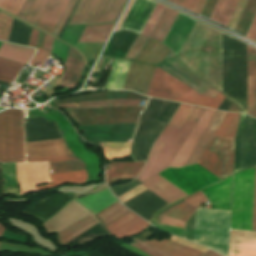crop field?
Segmentation results:
<instances>
[{"mask_svg":"<svg viewBox=\"0 0 256 256\" xmlns=\"http://www.w3.org/2000/svg\"><path fill=\"white\" fill-rule=\"evenodd\" d=\"M200 23L197 22L178 58L221 91V33Z\"/></svg>","mask_w":256,"mask_h":256,"instance_id":"obj_1","label":"crop field"},{"mask_svg":"<svg viewBox=\"0 0 256 256\" xmlns=\"http://www.w3.org/2000/svg\"><path fill=\"white\" fill-rule=\"evenodd\" d=\"M205 111V108L194 106L180 127L167 124L155 140L145 167L136 179L142 183L158 172L170 167Z\"/></svg>","mask_w":256,"mask_h":256,"instance_id":"obj_2","label":"crop field"},{"mask_svg":"<svg viewBox=\"0 0 256 256\" xmlns=\"http://www.w3.org/2000/svg\"><path fill=\"white\" fill-rule=\"evenodd\" d=\"M146 95L215 109L225 98L203 96L157 67Z\"/></svg>","mask_w":256,"mask_h":256,"instance_id":"obj_3","label":"crop field"},{"mask_svg":"<svg viewBox=\"0 0 256 256\" xmlns=\"http://www.w3.org/2000/svg\"><path fill=\"white\" fill-rule=\"evenodd\" d=\"M25 149L27 161L49 160L52 173L85 168V163L73 154L64 139L25 143Z\"/></svg>","mask_w":256,"mask_h":256,"instance_id":"obj_4","label":"crop field"},{"mask_svg":"<svg viewBox=\"0 0 256 256\" xmlns=\"http://www.w3.org/2000/svg\"><path fill=\"white\" fill-rule=\"evenodd\" d=\"M169 52L167 47L150 39L136 60L131 62L123 89L141 91L145 95L154 68Z\"/></svg>","mask_w":256,"mask_h":256,"instance_id":"obj_5","label":"crop field"},{"mask_svg":"<svg viewBox=\"0 0 256 256\" xmlns=\"http://www.w3.org/2000/svg\"><path fill=\"white\" fill-rule=\"evenodd\" d=\"M230 211L200 207L198 242L227 256Z\"/></svg>","mask_w":256,"mask_h":256,"instance_id":"obj_6","label":"crop field"},{"mask_svg":"<svg viewBox=\"0 0 256 256\" xmlns=\"http://www.w3.org/2000/svg\"><path fill=\"white\" fill-rule=\"evenodd\" d=\"M255 168L234 175L231 229L251 230Z\"/></svg>","mask_w":256,"mask_h":256,"instance_id":"obj_7","label":"crop field"},{"mask_svg":"<svg viewBox=\"0 0 256 256\" xmlns=\"http://www.w3.org/2000/svg\"><path fill=\"white\" fill-rule=\"evenodd\" d=\"M21 110L0 113V162L24 161Z\"/></svg>","mask_w":256,"mask_h":256,"instance_id":"obj_8","label":"crop field"},{"mask_svg":"<svg viewBox=\"0 0 256 256\" xmlns=\"http://www.w3.org/2000/svg\"><path fill=\"white\" fill-rule=\"evenodd\" d=\"M127 0H81L69 25L116 21Z\"/></svg>","mask_w":256,"mask_h":256,"instance_id":"obj_9","label":"crop field"},{"mask_svg":"<svg viewBox=\"0 0 256 256\" xmlns=\"http://www.w3.org/2000/svg\"><path fill=\"white\" fill-rule=\"evenodd\" d=\"M234 138L213 136L198 164L222 179L232 174Z\"/></svg>","mask_w":256,"mask_h":256,"instance_id":"obj_10","label":"crop field"},{"mask_svg":"<svg viewBox=\"0 0 256 256\" xmlns=\"http://www.w3.org/2000/svg\"><path fill=\"white\" fill-rule=\"evenodd\" d=\"M175 169L203 188L220 180L198 164ZM175 169L168 168L159 174L188 195L202 189Z\"/></svg>","mask_w":256,"mask_h":256,"instance_id":"obj_11","label":"crop field"},{"mask_svg":"<svg viewBox=\"0 0 256 256\" xmlns=\"http://www.w3.org/2000/svg\"><path fill=\"white\" fill-rule=\"evenodd\" d=\"M21 195L35 192V185L51 182L48 162L17 163Z\"/></svg>","mask_w":256,"mask_h":256,"instance_id":"obj_12","label":"crop field"},{"mask_svg":"<svg viewBox=\"0 0 256 256\" xmlns=\"http://www.w3.org/2000/svg\"><path fill=\"white\" fill-rule=\"evenodd\" d=\"M135 124L79 126L86 129L88 138L98 142H127L131 137Z\"/></svg>","mask_w":256,"mask_h":256,"instance_id":"obj_13","label":"crop field"},{"mask_svg":"<svg viewBox=\"0 0 256 256\" xmlns=\"http://www.w3.org/2000/svg\"><path fill=\"white\" fill-rule=\"evenodd\" d=\"M194 23L195 20L179 13L163 43L177 55Z\"/></svg>","mask_w":256,"mask_h":256,"instance_id":"obj_14","label":"crop field"},{"mask_svg":"<svg viewBox=\"0 0 256 256\" xmlns=\"http://www.w3.org/2000/svg\"><path fill=\"white\" fill-rule=\"evenodd\" d=\"M154 4H155V2H153L151 0H136L134 2L133 6L131 7L129 13L127 14L126 18L124 19L122 25L120 26L119 30L130 29L132 31L139 33L142 25L144 24L146 18L148 17L151 9L154 6Z\"/></svg>","mask_w":256,"mask_h":256,"instance_id":"obj_15","label":"crop field"},{"mask_svg":"<svg viewBox=\"0 0 256 256\" xmlns=\"http://www.w3.org/2000/svg\"><path fill=\"white\" fill-rule=\"evenodd\" d=\"M201 190L208 198L211 208L230 210L232 176Z\"/></svg>","mask_w":256,"mask_h":256,"instance_id":"obj_16","label":"crop field"},{"mask_svg":"<svg viewBox=\"0 0 256 256\" xmlns=\"http://www.w3.org/2000/svg\"><path fill=\"white\" fill-rule=\"evenodd\" d=\"M149 225L131 212L106 228L115 238H122L138 234Z\"/></svg>","mask_w":256,"mask_h":256,"instance_id":"obj_17","label":"crop field"},{"mask_svg":"<svg viewBox=\"0 0 256 256\" xmlns=\"http://www.w3.org/2000/svg\"><path fill=\"white\" fill-rule=\"evenodd\" d=\"M214 113H215L214 110L207 109V111L205 112V114L203 115V117L198 122V124L192 131L191 135L187 139L186 143L182 147L181 151L177 155L176 159L172 163L171 167L184 166L186 160L188 159L190 153L193 151L194 147L196 146L198 140L203 134L205 128L207 127Z\"/></svg>","mask_w":256,"mask_h":256,"instance_id":"obj_18","label":"crop field"},{"mask_svg":"<svg viewBox=\"0 0 256 256\" xmlns=\"http://www.w3.org/2000/svg\"><path fill=\"white\" fill-rule=\"evenodd\" d=\"M229 256H256V233L231 231Z\"/></svg>","mask_w":256,"mask_h":256,"instance_id":"obj_19","label":"crop field"},{"mask_svg":"<svg viewBox=\"0 0 256 256\" xmlns=\"http://www.w3.org/2000/svg\"><path fill=\"white\" fill-rule=\"evenodd\" d=\"M144 187L155 193L157 196L170 203L178 198L187 196L184 192L169 183L158 174L150 178L143 184Z\"/></svg>","mask_w":256,"mask_h":256,"instance_id":"obj_20","label":"crop field"},{"mask_svg":"<svg viewBox=\"0 0 256 256\" xmlns=\"http://www.w3.org/2000/svg\"><path fill=\"white\" fill-rule=\"evenodd\" d=\"M248 114L256 117V50L247 45Z\"/></svg>","mask_w":256,"mask_h":256,"instance_id":"obj_21","label":"crop field"},{"mask_svg":"<svg viewBox=\"0 0 256 256\" xmlns=\"http://www.w3.org/2000/svg\"><path fill=\"white\" fill-rule=\"evenodd\" d=\"M144 162L108 163L107 183L136 178Z\"/></svg>","mask_w":256,"mask_h":256,"instance_id":"obj_22","label":"crop field"},{"mask_svg":"<svg viewBox=\"0 0 256 256\" xmlns=\"http://www.w3.org/2000/svg\"><path fill=\"white\" fill-rule=\"evenodd\" d=\"M225 115H226L225 112L216 111L211 122L206 128L204 134L199 140L197 146L195 147L194 151L191 153L189 159L187 160L185 166L190 164H195L198 162L202 153L204 152L205 148L207 147L209 141L211 140L212 136L214 135L215 131L217 130L218 126L222 122Z\"/></svg>","mask_w":256,"mask_h":256,"instance_id":"obj_23","label":"crop field"},{"mask_svg":"<svg viewBox=\"0 0 256 256\" xmlns=\"http://www.w3.org/2000/svg\"><path fill=\"white\" fill-rule=\"evenodd\" d=\"M69 0H51L37 27L52 34Z\"/></svg>","mask_w":256,"mask_h":256,"instance_id":"obj_24","label":"crop field"},{"mask_svg":"<svg viewBox=\"0 0 256 256\" xmlns=\"http://www.w3.org/2000/svg\"><path fill=\"white\" fill-rule=\"evenodd\" d=\"M98 222L100 221L92 213L87 215L86 217L80 219L79 221L75 222L69 227L58 232L59 243L62 245L66 244L67 242L74 239L75 237H77L90 227L94 226Z\"/></svg>","mask_w":256,"mask_h":256,"instance_id":"obj_25","label":"crop field"},{"mask_svg":"<svg viewBox=\"0 0 256 256\" xmlns=\"http://www.w3.org/2000/svg\"><path fill=\"white\" fill-rule=\"evenodd\" d=\"M65 65L66 67L62 80L74 84L78 83L83 70V60L81 55L71 47L69 48L68 57Z\"/></svg>","mask_w":256,"mask_h":256,"instance_id":"obj_26","label":"crop field"},{"mask_svg":"<svg viewBox=\"0 0 256 256\" xmlns=\"http://www.w3.org/2000/svg\"><path fill=\"white\" fill-rule=\"evenodd\" d=\"M95 214L117 202L109 189L101 191L93 196L76 199Z\"/></svg>","mask_w":256,"mask_h":256,"instance_id":"obj_27","label":"crop field"},{"mask_svg":"<svg viewBox=\"0 0 256 256\" xmlns=\"http://www.w3.org/2000/svg\"><path fill=\"white\" fill-rule=\"evenodd\" d=\"M145 242L171 256H201L203 254V252L184 247L166 239L161 242L155 239Z\"/></svg>","mask_w":256,"mask_h":256,"instance_id":"obj_28","label":"crop field"},{"mask_svg":"<svg viewBox=\"0 0 256 256\" xmlns=\"http://www.w3.org/2000/svg\"><path fill=\"white\" fill-rule=\"evenodd\" d=\"M131 61L115 59L105 89L119 90L124 81Z\"/></svg>","mask_w":256,"mask_h":256,"instance_id":"obj_29","label":"crop field"},{"mask_svg":"<svg viewBox=\"0 0 256 256\" xmlns=\"http://www.w3.org/2000/svg\"><path fill=\"white\" fill-rule=\"evenodd\" d=\"M52 179V184L43 185L36 187V191L52 188L56 185L71 182V183H85L87 179V172L85 170L80 171H72V172H64V173H56L50 174Z\"/></svg>","mask_w":256,"mask_h":256,"instance_id":"obj_30","label":"crop field"},{"mask_svg":"<svg viewBox=\"0 0 256 256\" xmlns=\"http://www.w3.org/2000/svg\"><path fill=\"white\" fill-rule=\"evenodd\" d=\"M177 15H178V12L166 7L164 13L159 19L154 30L152 31L150 38L162 43L164 37L169 31Z\"/></svg>","mask_w":256,"mask_h":256,"instance_id":"obj_31","label":"crop field"},{"mask_svg":"<svg viewBox=\"0 0 256 256\" xmlns=\"http://www.w3.org/2000/svg\"><path fill=\"white\" fill-rule=\"evenodd\" d=\"M238 0H218L211 20L228 26Z\"/></svg>","mask_w":256,"mask_h":256,"instance_id":"obj_32","label":"crop field"},{"mask_svg":"<svg viewBox=\"0 0 256 256\" xmlns=\"http://www.w3.org/2000/svg\"><path fill=\"white\" fill-rule=\"evenodd\" d=\"M114 24L86 26L79 42H106Z\"/></svg>","mask_w":256,"mask_h":256,"instance_id":"obj_33","label":"crop field"},{"mask_svg":"<svg viewBox=\"0 0 256 256\" xmlns=\"http://www.w3.org/2000/svg\"><path fill=\"white\" fill-rule=\"evenodd\" d=\"M35 50L3 43L0 56L17 62L27 64Z\"/></svg>","mask_w":256,"mask_h":256,"instance_id":"obj_34","label":"crop field"},{"mask_svg":"<svg viewBox=\"0 0 256 256\" xmlns=\"http://www.w3.org/2000/svg\"><path fill=\"white\" fill-rule=\"evenodd\" d=\"M4 194H19L16 163H2Z\"/></svg>","mask_w":256,"mask_h":256,"instance_id":"obj_35","label":"crop field"},{"mask_svg":"<svg viewBox=\"0 0 256 256\" xmlns=\"http://www.w3.org/2000/svg\"><path fill=\"white\" fill-rule=\"evenodd\" d=\"M256 13V0H248L235 27L236 32L246 36Z\"/></svg>","mask_w":256,"mask_h":256,"instance_id":"obj_36","label":"crop field"},{"mask_svg":"<svg viewBox=\"0 0 256 256\" xmlns=\"http://www.w3.org/2000/svg\"><path fill=\"white\" fill-rule=\"evenodd\" d=\"M104 156L107 160L123 159L127 157L131 143H101Z\"/></svg>","mask_w":256,"mask_h":256,"instance_id":"obj_37","label":"crop field"},{"mask_svg":"<svg viewBox=\"0 0 256 256\" xmlns=\"http://www.w3.org/2000/svg\"><path fill=\"white\" fill-rule=\"evenodd\" d=\"M129 212L131 211L118 202L96 215L106 226Z\"/></svg>","mask_w":256,"mask_h":256,"instance_id":"obj_38","label":"crop field"},{"mask_svg":"<svg viewBox=\"0 0 256 256\" xmlns=\"http://www.w3.org/2000/svg\"><path fill=\"white\" fill-rule=\"evenodd\" d=\"M23 66L24 64L0 58V80L12 83Z\"/></svg>","mask_w":256,"mask_h":256,"instance_id":"obj_39","label":"crop field"},{"mask_svg":"<svg viewBox=\"0 0 256 256\" xmlns=\"http://www.w3.org/2000/svg\"><path fill=\"white\" fill-rule=\"evenodd\" d=\"M140 100H114V101H100V102H87L81 103L82 108L88 107H102V106H117V105H131L138 106ZM63 108H80L79 103L61 104L58 105Z\"/></svg>","mask_w":256,"mask_h":256,"instance_id":"obj_40","label":"crop field"},{"mask_svg":"<svg viewBox=\"0 0 256 256\" xmlns=\"http://www.w3.org/2000/svg\"><path fill=\"white\" fill-rule=\"evenodd\" d=\"M238 118V113H227L215 135L234 137Z\"/></svg>","mask_w":256,"mask_h":256,"instance_id":"obj_41","label":"crop field"},{"mask_svg":"<svg viewBox=\"0 0 256 256\" xmlns=\"http://www.w3.org/2000/svg\"><path fill=\"white\" fill-rule=\"evenodd\" d=\"M50 0H35L31 9L29 10L25 21L37 26L44 10L46 9Z\"/></svg>","mask_w":256,"mask_h":256,"instance_id":"obj_42","label":"crop field"},{"mask_svg":"<svg viewBox=\"0 0 256 256\" xmlns=\"http://www.w3.org/2000/svg\"><path fill=\"white\" fill-rule=\"evenodd\" d=\"M194 209L195 207L184 202L176 208L166 212L164 215L186 222Z\"/></svg>","mask_w":256,"mask_h":256,"instance_id":"obj_43","label":"crop field"},{"mask_svg":"<svg viewBox=\"0 0 256 256\" xmlns=\"http://www.w3.org/2000/svg\"><path fill=\"white\" fill-rule=\"evenodd\" d=\"M0 250L9 251V252L27 251V252L36 253L39 255H50L44 251H41L39 249L30 247V246L15 244V243H8L3 241L0 242Z\"/></svg>","mask_w":256,"mask_h":256,"instance_id":"obj_44","label":"crop field"},{"mask_svg":"<svg viewBox=\"0 0 256 256\" xmlns=\"http://www.w3.org/2000/svg\"><path fill=\"white\" fill-rule=\"evenodd\" d=\"M164 9H165V6L157 3L154 11L152 12L145 27L143 28L141 35L149 37L151 31L153 30L154 26L156 25L158 19L160 18L161 14L163 13Z\"/></svg>","mask_w":256,"mask_h":256,"instance_id":"obj_45","label":"crop field"},{"mask_svg":"<svg viewBox=\"0 0 256 256\" xmlns=\"http://www.w3.org/2000/svg\"><path fill=\"white\" fill-rule=\"evenodd\" d=\"M13 18L0 12V40H9Z\"/></svg>","mask_w":256,"mask_h":256,"instance_id":"obj_46","label":"crop field"},{"mask_svg":"<svg viewBox=\"0 0 256 256\" xmlns=\"http://www.w3.org/2000/svg\"><path fill=\"white\" fill-rule=\"evenodd\" d=\"M192 108L193 106L191 105L180 104L179 108L177 109L176 113L169 121V123L180 126V124L183 122V120L185 119V117L188 115Z\"/></svg>","mask_w":256,"mask_h":256,"instance_id":"obj_47","label":"crop field"},{"mask_svg":"<svg viewBox=\"0 0 256 256\" xmlns=\"http://www.w3.org/2000/svg\"><path fill=\"white\" fill-rule=\"evenodd\" d=\"M25 0H0V8L17 16Z\"/></svg>","mask_w":256,"mask_h":256,"instance_id":"obj_48","label":"crop field"},{"mask_svg":"<svg viewBox=\"0 0 256 256\" xmlns=\"http://www.w3.org/2000/svg\"><path fill=\"white\" fill-rule=\"evenodd\" d=\"M130 239L136 242V243H131L130 245H132V246H134V247H136V248H138V249H140V250H142V251H144V252H146V253H148L152 256H169L165 253H162V252H160V251H158V250H156V249L138 241L134 237H132Z\"/></svg>","mask_w":256,"mask_h":256,"instance_id":"obj_49","label":"crop field"},{"mask_svg":"<svg viewBox=\"0 0 256 256\" xmlns=\"http://www.w3.org/2000/svg\"><path fill=\"white\" fill-rule=\"evenodd\" d=\"M76 1H77V0H71V1L69 2L68 6H67V8H66V10H65V12L63 13V15H62V17H61L59 23L57 24V26H56V28H55V30H54V32H53V35H55V36L58 37V35H59V33H60V31H61L63 25L65 24V22H66V20H67V18H68V16H69V14H70V12L72 11V9H73V7H74Z\"/></svg>","mask_w":256,"mask_h":256,"instance_id":"obj_50","label":"crop field"},{"mask_svg":"<svg viewBox=\"0 0 256 256\" xmlns=\"http://www.w3.org/2000/svg\"><path fill=\"white\" fill-rule=\"evenodd\" d=\"M147 41V38L142 37L138 35L136 41L134 42L133 46L131 47L129 53L127 54L126 58L129 59H135L145 42Z\"/></svg>","mask_w":256,"mask_h":256,"instance_id":"obj_51","label":"crop field"},{"mask_svg":"<svg viewBox=\"0 0 256 256\" xmlns=\"http://www.w3.org/2000/svg\"><path fill=\"white\" fill-rule=\"evenodd\" d=\"M68 47L69 46L55 40L52 52L55 53L59 58H61L65 62Z\"/></svg>","mask_w":256,"mask_h":256,"instance_id":"obj_52","label":"crop field"},{"mask_svg":"<svg viewBox=\"0 0 256 256\" xmlns=\"http://www.w3.org/2000/svg\"><path fill=\"white\" fill-rule=\"evenodd\" d=\"M146 190H147L146 188H144L143 186L139 185V186H137V187H135V188H133V189H131V190L121 194V195H119L118 199L122 203V202H124V201H126V200H128V199H130V198H132V197H134V196H136V195L146 191Z\"/></svg>","mask_w":256,"mask_h":256,"instance_id":"obj_53","label":"crop field"},{"mask_svg":"<svg viewBox=\"0 0 256 256\" xmlns=\"http://www.w3.org/2000/svg\"><path fill=\"white\" fill-rule=\"evenodd\" d=\"M168 1L175 3L185 9L195 12L200 0H168Z\"/></svg>","mask_w":256,"mask_h":256,"instance_id":"obj_54","label":"crop field"},{"mask_svg":"<svg viewBox=\"0 0 256 256\" xmlns=\"http://www.w3.org/2000/svg\"><path fill=\"white\" fill-rule=\"evenodd\" d=\"M184 200L196 207L208 201L201 191L185 198Z\"/></svg>","mask_w":256,"mask_h":256,"instance_id":"obj_55","label":"crop field"},{"mask_svg":"<svg viewBox=\"0 0 256 256\" xmlns=\"http://www.w3.org/2000/svg\"><path fill=\"white\" fill-rule=\"evenodd\" d=\"M50 55H51V53H49V52H47V51L38 47L37 53L33 57V59L31 60L30 65L32 66L35 61L43 64L48 59V57Z\"/></svg>","mask_w":256,"mask_h":256,"instance_id":"obj_56","label":"crop field"},{"mask_svg":"<svg viewBox=\"0 0 256 256\" xmlns=\"http://www.w3.org/2000/svg\"><path fill=\"white\" fill-rule=\"evenodd\" d=\"M170 240L178 242V243L186 245V246H189V247H192V248H195V249L203 251V252H205L207 250V248H205L203 246L196 245V244L191 243V242H189L187 240H184V239H181V238H177V237H174V236H172Z\"/></svg>","mask_w":256,"mask_h":256,"instance_id":"obj_57","label":"crop field"},{"mask_svg":"<svg viewBox=\"0 0 256 256\" xmlns=\"http://www.w3.org/2000/svg\"><path fill=\"white\" fill-rule=\"evenodd\" d=\"M162 224H167V225H172V226H177V227H182L184 228L185 223L175 220L173 218L167 217V216H162L161 222Z\"/></svg>","mask_w":256,"mask_h":256,"instance_id":"obj_58","label":"crop field"},{"mask_svg":"<svg viewBox=\"0 0 256 256\" xmlns=\"http://www.w3.org/2000/svg\"><path fill=\"white\" fill-rule=\"evenodd\" d=\"M34 0H26L25 3L23 4L19 14L17 17L21 18L24 20L29 8L31 7L32 3Z\"/></svg>","mask_w":256,"mask_h":256,"instance_id":"obj_59","label":"crop field"},{"mask_svg":"<svg viewBox=\"0 0 256 256\" xmlns=\"http://www.w3.org/2000/svg\"><path fill=\"white\" fill-rule=\"evenodd\" d=\"M246 37L250 38L253 41H256V16Z\"/></svg>","mask_w":256,"mask_h":256,"instance_id":"obj_60","label":"crop field"},{"mask_svg":"<svg viewBox=\"0 0 256 256\" xmlns=\"http://www.w3.org/2000/svg\"><path fill=\"white\" fill-rule=\"evenodd\" d=\"M219 91H217L215 88L209 86V85H206L204 91H203V95H206V96H210V97H213L215 98V96L218 94Z\"/></svg>","mask_w":256,"mask_h":256,"instance_id":"obj_61","label":"crop field"},{"mask_svg":"<svg viewBox=\"0 0 256 256\" xmlns=\"http://www.w3.org/2000/svg\"><path fill=\"white\" fill-rule=\"evenodd\" d=\"M39 32L36 31L35 29H32L29 45L30 47H36L37 44V39H38Z\"/></svg>","mask_w":256,"mask_h":256,"instance_id":"obj_62","label":"crop field"},{"mask_svg":"<svg viewBox=\"0 0 256 256\" xmlns=\"http://www.w3.org/2000/svg\"><path fill=\"white\" fill-rule=\"evenodd\" d=\"M252 230H256V175H255V191H254V207H253Z\"/></svg>","mask_w":256,"mask_h":256,"instance_id":"obj_63","label":"crop field"},{"mask_svg":"<svg viewBox=\"0 0 256 256\" xmlns=\"http://www.w3.org/2000/svg\"><path fill=\"white\" fill-rule=\"evenodd\" d=\"M53 41H54V38L46 35L43 47L51 51L52 45H53Z\"/></svg>","mask_w":256,"mask_h":256,"instance_id":"obj_64","label":"crop field"},{"mask_svg":"<svg viewBox=\"0 0 256 256\" xmlns=\"http://www.w3.org/2000/svg\"><path fill=\"white\" fill-rule=\"evenodd\" d=\"M133 2H134V0H132V1H131L130 5L128 6L127 10L125 11V13H124V15H123V17H122V19H121L120 23L118 24V26H117L116 30H118V28H119L120 24L122 23L123 19L125 18V16H126L127 12L129 11L130 7L132 6ZM116 30H115V31H116Z\"/></svg>","mask_w":256,"mask_h":256,"instance_id":"obj_65","label":"crop field"},{"mask_svg":"<svg viewBox=\"0 0 256 256\" xmlns=\"http://www.w3.org/2000/svg\"><path fill=\"white\" fill-rule=\"evenodd\" d=\"M203 256H220V255L216 254L211 250H208Z\"/></svg>","mask_w":256,"mask_h":256,"instance_id":"obj_66","label":"crop field"},{"mask_svg":"<svg viewBox=\"0 0 256 256\" xmlns=\"http://www.w3.org/2000/svg\"><path fill=\"white\" fill-rule=\"evenodd\" d=\"M60 85L67 86V87H70V88H72L74 86V84H70V83L63 82V81H61Z\"/></svg>","mask_w":256,"mask_h":256,"instance_id":"obj_67","label":"crop field"},{"mask_svg":"<svg viewBox=\"0 0 256 256\" xmlns=\"http://www.w3.org/2000/svg\"><path fill=\"white\" fill-rule=\"evenodd\" d=\"M204 1H205V0H201V3H200V5H199V7H198V9H197V11H196L197 13H200Z\"/></svg>","mask_w":256,"mask_h":256,"instance_id":"obj_68","label":"crop field"},{"mask_svg":"<svg viewBox=\"0 0 256 256\" xmlns=\"http://www.w3.org/2000/svg\"><path fill=\"white\" fill-rule=\"evenodd\" d=\"M4 229H5V227L0 225V237L2 236Z\"/></svg>","mask_w":256,"mask_h":256,"instance_id":"obj_69","label":"crop field"},{"mask_svg":"<svg viewBox=\"0 0 256 256\" xmlns=\"http://www.w3.org/2000/svg\"><path fill=\"white\" fill-rule=\"evenodd\" d=\"M0 109H3V108L0 107Z\"/></svg>","mask_w":256,"mask_h":256,"instance_id":"obj_70","label":"crop field"}]
</instances>
